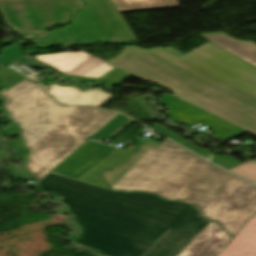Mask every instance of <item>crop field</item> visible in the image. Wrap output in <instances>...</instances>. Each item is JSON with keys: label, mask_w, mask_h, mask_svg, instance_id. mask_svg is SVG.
<instances>
[{"label": "crop field", "mask_w": 256, "mask_h": 256, "mask_svg": "<svg viewBox=\"0 0 256 256\" xmlns=\"http://www.w3.org/2000/svg\"><path fill=\"white\" fill-rule=\"evenodd\" d=\"M36 187L107 210L171 228L192 206L169 202L147 193L102 189L51 172Z\"/></svg>", "instance_id": "crop-field-6"}, {"label": "crop field", "mask_w": 256, "mask_h": 256, "mask_svg": "<svg viewBox=\"0 0 256 256\" xmlns=\"http://www.w3.org/2000/svg\"><path fill=\"white\" fill-rule=\"evenodd\" d=\"M61 202L82 226L74 242L108 256H142L169 228L107 211L67 198Z\"/></svg>", "instance_id": "crop-field-5"}, {"label": "crop field", "mask_w": 256, "mask_h": 256, "mask_svg": "<svg viewBox=\"0 0 256 256\" xmlns=\"http://www.w3.org/2000/svg\"><path fill=\"white\" fill-rule=\"evenodd\" d=\"M87 5L71 25L40 35L29 36L44 28L66 23L83 8L79 0H20L0 2L7 25L40 49L54 45H89L96 42L135 40L111 0H83Z\"/></svg>", "instance_id": "crop-field-4"}, {"label": "crop field", "mask_w": 256, "mask_h": 256, "mask_svg": "<svg viewBox=\"0 0 256 256\" xmlns=\"http://www.w3.org/2000/svg\"><path fill=\"white\" fill-rule=\"evenodd\" d=\"M20 53H21V50L19 46L12 45L8 47L6 50H4V52L0 56V65L4 67L7 66L13 60H15Z\"/></svg>", "instance_id": "crop-field-18"}, {"label": "crop field", "mask_w": 256, "mask_h": 256, "mask_svg": "<svg viewBox=\"0 0 256 256\" xmlns=\"http://www.w3.org/2000/svg\"><path fill=\"white\" fill-rule=\"evenodd\" d=\"M121 12L178 7L177 0H114Z\"/></svg>", "instance_id": "crop-field-14"}, {"label": "crop field", "mask_w": 256, "mask_h": 256, "mask_svg": "<svg viewBox=\"0 0 256 256\" xmlns=\"http://www.w3.org/2000/svg\"><path fill=\"white\" fill-rule=\"evenodd\" d=\"M9 87L0 91V109L19 128L29 151L22 165L11 171L22 180H38L58 165L118 113L91 107H61L35 81L0 70Z\"/></svg>", "instance_id": "crop-field-3"}, {"label": "crop field", "mask_w": 256, "mask_h": 256, "mask_svg": "<svg viewBox=\"0 0 256 256\" xmlns=\"http://www.w3.org/2000/svg\"><path fill=\"white\" fill-rule=\"evenodd\" d=\"M0 144H1V140H0ZM8 159V155L6 154V152L2 149V147L0 146V164L2 161ZM2 170V167L0 165V172Z\"/></svg>", "instance_id": "crop-field-19"}, {"label": "crop field", "mask_w": 256, "mask_h": 256, "mask_svg": "<svg viewBox=\"0 0 256 256\" xmlns=\"http://www.w3.org/2000/svg\"><path fill=\"white\" fill-rule=\"evenodd\" d=\"M198 35L256 66V43L232 38L224 32Z\"/></svg>", "instance_id": "crop-field-13"}, {"label": "crop field", "mask_w": 256, "mask_h": 256, "mask_svg": "<svg viewBox=\"0 0 256 256\" xmlns=\"http://www.w3.org/2000/svg\"><path fill=\"white\" fill-rule=\"evenodd\" d=\"M228 171L256 183V162L253 160L240 164Z\"/></svg>", "instance_id": "crop-field-16"}, {"label": "crop field", "mask_w": 256, "mask_h": 256, "mask_svg": "<svg viewBox=\"0 0 256 256\" xmlns=\"http://www.w3.org/2000/svg\"><path fill=\"white\" fill-rule=\"evenodd\" d=\"M130 152L94 142H86L53 172L109 189L98 173L124 162Z\"/></svg>", "instance_id": "crop-field-7"}, {"label": "crop field", "mask_w": 256, "mask_h": 256, "mask_svg": "<svg viewBox=\"0 0 256 256\" xmlns=\"http://www.w3.org/2000/svg\"><path fill=\"white\" fill-rule=\"evenodd\" d=\"M129 119L130 118L119 114L113 120L111 119L112 121L109 122L106 126H104L102 129H100L94 135H92L91 138H93V139H95V141H99V142H101L104 139L110 141L114 137L113 135H110V134L112 132H114L117 128H119L122 124H124Z\"/></svg>", "instance_id": "crop-field-15"}, {"label": "crop field", "mask_w": 256, "mask_h": 256, "mask_svg": "<svg viewBox=\"0 0 256 256\" xmlns=\"http://www.w3.org/2000/svg\"><path fill=\"white\" fill-rule=\"evenodd\" d=\"M167 50H169L170 52H172V53H174L175 55H177V56H181V55H183V54H181L180 52H178L177 50H175V49H173V48H167Z\"/></svg>", "instance_id": "crop-field-20"}, {"label": "crop field", "mask_w": 256, "mask_h": 256, "mask_svg": "<svg viewBox=\"0 0 256 256\" xmlns=\"http://www.w3.org/2000/svg\"><path fill=\"white\" fill-rule=\"evenodd\" d=\"M2 67H0V69H1ZM0 86H3V87H5V88H8L7 86H6V84L2 81V79L0 78Z\"/></svg>", "instance_id": "crop-field-21"}, {"label": "crop field", "mask_w": 256, "mask_h": 256, "mask_svg": "<svg viewBox=\"0 0 256 256\" xmlns=\"http://www.w3.org/2000/svg\"><path fill=\"white\" fill-rule=\"evenodd\" d=\"M209 223L193 206L143 256H177Z\"/></svg>", "instance_id": "crop-field-9"}, {"label": "crop field", "mask_w": 256, "mask_h": 256, "mask_svg": "<svg viewBox=\"0 0 256 256\" xmlns=\"http://www.w3.org/2000/svg\"><path fill=\"white\" fill-rule=\"evenodd\" d=\"M111 190L157 193L197 206L201 215L231 236L256 212V186L166 139L143 144L127 163L100 173Z\"/></svg>", "instance_id": "crop-field-1"}, {"label": "crop field", "mask_w": 256, "mask_h": 256, "mask_svg": "<svg viewBox=\"0 0 256 256\" xmlns=\"http://www.w3.org/2000/svg\"><path fill=\"white\" fill-rule=\"evenodd\" d=\"M48 85L51 88L48 90L50 94L60 103L65 105H89L100 107L111 98L110 94L104 93L97 88L81 92L74 86L64 87L54 83Z\"/></svg>", "instance_id": "crop-field-11"}, {"label": "crop field", "mask_w": 256, "mask_h": 256, "mask_svg": "<svg viewBox=\"0 0 256 256\" xmlns=\"http://www.w3.org/2000/svg\"><path fill=\"white\" fill-rule=\"evenodd\" d=\"M33 59L65 74L62 76L64 78L74 77L79 80L117 85L130 76L83 51L35 56Z\"/></svg>", "instance_id": "crop-field-8"}, {"label": "crop field", "mask_w": 256, "mask_h": 256, "mask_svg": "<svg viewBox=\"0 0 256 256\" xmlns=\"http://www.w3.org/2000/svg\"><path fill=\"white\" fill-rule=\"evenodd\" d=\"M0 1H4V0H0Z\"/></svg>", "instance_id": "crop-field-22"}, {"label": "crop field", "mask_w": 256, "mask_h": 256, "mask_svg": "<svg viewBox=\"0 0 256 256\" xmlns=\"http://www.w3.org/2000/svg\"><path fill=\"white\" fill-rule=\"evenodd\" d=\"M216 256H256V213Z\"/></svg>", "instance_id": "crop-field-12"}, {"label": "crop field", "mask_w": 256, "mask_h": 256, "mask_svg": "<svg viewBox=\"0 0 256 256\" xmlns=\"http://www.w3.org/2000/svg\"><path fill=\"white\" fill-rule=\"evenodd\" d=\"M231 239L211 222L178 256H215Z\"/></svg>", "instance_id": "crop-field-10"}, {"label": "crop field", "mask_w": 256, "mask_h": 256, "mask_svg": "<svg viewBox=\"0 0 256 256\" xmlns=\"http://www.w3.org/2000/svg\"><path fill=\"white\" fill-rule=\"evenodd\" d=\"M256 136V67L206 43L178 58L130 47L106 62Z\"/></svg>", "instance_id": "crop-field-2"}, {"label": "crop field", "mask_w": 256, "mask_h": 256, "mask_svg": "<svg viewBox=\"0 0 256 256\" xmlns=\"http://www.w3.org/2000/svg\"><path fill=\"white\" fill-rule=\"evenodd\" d=\"M0 135H16L17 136V140L14 143H12V147L18 151H23V152L17 153L16 155L19 156L20 158H22L23 161H25L28 151L22 143V140L20 138V132H19L18 128L3 131L0 133Z\"/></svg>", "instance_id": "crop-field-17"}]
</instances>
